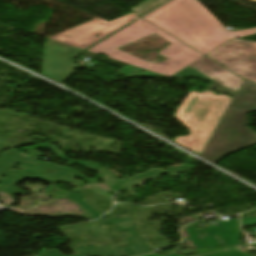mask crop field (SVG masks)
Returning <instances> with one entry per match:
<instances>
[{
	"label": "crop field",
	"mask_w": 256,
	"mask_h": 256,
	"mask_svg": "<svg viewBox=\"0 0 256 256\" xmlns=\"http://www.w3.org/2000/svg\"><path fill=\"white\" fill-rule=\"evenodd\" d=\"M143 69L128 65L122 69L117 70V72L124 77L132 78L136 76H146V77H160V78H168L162 75H158L149 71L141 72Z\"/></svg>",
	"instance_id": "crop-field-10"
},
{
	"label": "crop field",
	"mask_w": 256,
	"mask_h": 256,
	"mask_svg": "<svg viewBox=\"0 0 256 256\" xmlns=\"http://www.w3.org/2000/svg\"><path fill=\"white\" fill-rule=\"evenodd\" d=\"M164 1H166V0H145L144 2L140 3L139 5L135 6L134 8H132L130 10L134 11L139 16H141L142 14L150 11L151 9H153L154 7L163 3Z\"/></svg>",
	"instance_id": "crop-field-11"
},
{
	"label": "crop field",
	"mask_w": 256,
	"mask_h": 256,
	"mask_svg": "<svg viewBox=\"0 0 256 256\" xmlns=\"http://www.w3.org/2000/svg\"><path fill=\"white\" fill-rule=\"evenodd\" d=\"M77 55V49L49 40L45 45L42 75L60 83L69 76L72 63L70 58Z\"/></svg>",
	"instance_id": "crop-field-8"
},
{
	"label": "crop field",
	"mask_w": 256,
	"mask_h": 256,
	"mask_svg": "<svg viewBox=\"0 0 256 256\" xmlns=\"http://www.w3.org/2000/svg\"><path fill=\"white\" fill-rule=\"evenodd\" d=\"M241 220L243 225H249V226L256 225V217H248V218H243Z\"/></svg>",
	"instance_id": "crop-field-12"
},
{
	"label": "crop field",
	"mask_w": 256,
	"mask_h": 256,
	"mask_svg": "<svg viewBox=\"0 0 256 256\" xmlns=\"http://www.w3.org/2000/svg\"><path fill=\"white\" fill-rule=\"evenodd\" d=\"M189 226L190 228L186 230L194 241L197 249L220 246L214 237L215 235H220L227 246L240 245L238 239L241 237V231L238 219L219 222V227L204 228L208 235V237L205 238L200 237L192 224Z\"/></svg>",
	"instance_id": "crop-field-9"
},
{
	"label": "crop field",
	"mask_w": 256,
	"mask_h": 256,
	"mask_svg": "<svg viewBox=\"0 0 256 256\" xmlns=\"http://www.w3.org/2000/svg\"><path fill=\"white\" fill-rule=\"evenodd\" d=\"M137 17L139 16L131 13L111 22L97 18L62 34L54 36L51 39L85 49L94 42L107 36ZM96 35H100V37L95 38Z\"/></svg>",
	"instance_id": "crop-field-7"
},
{
	"label": "crop field",
	"mask_w": 256,
	"mask_h": 256,
	"mask_svg": "<svg viewBox=\"0 0 256 256\" xmlns=\"http://www.w3.org/2000/svg\"><path fill=\"white\" fill-rule=\"evenodd\" d=\"M154 33L173 44L159 52V54L169 58L163 63L150 64L125 52L116 50L119 46L136 39H142ZM88 51L95 54H105L108 58L116 59L168 77L174 75L191 62L203 56L142 18L88 49Z\"/></svg>",
	"instance_id": "crop-field-2"
},
{
	"label": "crop field",
	"mask_w": 256,
	"mask_h": 256,
	"mask_svg": "<svg viewBox=\"0 0 256 256\" xmlns=\"http://www.w3.org/2000/svg\"><path fill=\"white\" fill-rule=\"evenodd\" d=\"M254 111H256V84L244 80L202 157L216 163L229 154L255 145L256 133L246 127L247 114Z\"/></svg>",
	"instance_id": "crop-field-3"
},
{
	"label": "crop field",
	"mask_w": 256,
	"mask_h": 256,
	"mask_svg": "<svg viewBox=\"0 0 256 256\" xmlns=\"http://www.w3.org/2000/svg\"><path fill=\"white\" fill-rule=\"evenodd\" d=\"M196 89L192 88L174 116L190 134L177 136L173 142L201 154L232 98L223 94L215 96L209 90L200 94Z\"/></svg>",
	"instance_id": "crop-field-4"
},
{
	"label": "crop field",
	"mask_w": 256,
	"mask_h": 256,
	"mask_svg": "<svg viewBox=\"0 0 256 256\" xmlns=\"http://www.w3.org/2000/svg\"><path fill=\"white\" fill-rule=\"evenodd\" d=\"M143 18L204 55L229 39L256 33V28L229 32L197 0H173Z\"/></svg>",
	"instance_id": "crop-field-1"
},
{
	"label": "crop field",
	"mask_w": 256,
	"mask_h": 256,
	"mask_svg": "<svg viewBox=\"0 0 256 256\" xmlns=\"http://www.w3.org/2000/svg\"><path fill=\"white\" fill-rule=\"evenodd\" d=\"M183 77L198 78L212 82L207 86L208 89L217 88L222 93L230 94L232 97H234L243 81L206 57L193 62L171 78L180 80Z\"/></svg>",
	"instance_id": "crop-field-6"
},
{
	"label": "crop field",
	"mask_w": 256,
	"mask_h": 256,
	"mask_svg": "<svg viewBox=\"0 0 256 256\" xmlns=\"http://www.w3.org/2000/svg\"><path fill=\"white\" fill-rule=\"evenodd\" d=\"M206 57L240 77L256 83V42L229 40Z\"/></svg>",
	"instance_id": "crop-field-5"
}]
</instances>
